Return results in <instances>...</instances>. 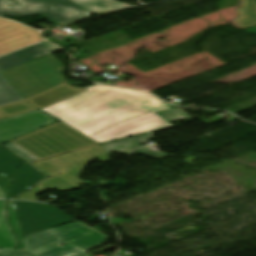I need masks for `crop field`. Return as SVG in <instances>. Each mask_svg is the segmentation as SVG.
I'll list each match as a JSON object with an SVG mask.
<instances>
[{
    "label": "crop field",
    "instance_id": "obj_1",
    "mask_svg": "<svg viewBox=\"0 0 256 256\" xmlns=\"http://www.w3.org/2000/svg\"><path fill=\"white\" fill-rule=\"evenodd\" d=\"M86 90L42 110L98 143L173 127L120 88Z\"/></svg>",
    "mask_w": 256,
    "mask_h": 256
},
{
    "label": "crop field",
    "instance_id": "obj_2",
    "mask_svg": "<svg viewBox=\"0 0 256 256\" xmlns=\"http://www.w3.org/2000/svg\"><path fill=\"white\" fill-rule=\"evenodd\" d=\"M95 145L99 144L58 122L2 146L32 163Z\"/></svg>",
    "mask_w": 256,
    "mask_h": 256
},
{
    "label": "crop field",
    "instance_id": "obj_3",
    "mask_svg": "<svg viewBox=\"0 0 256 256\" xmlns=\"http://www.w3.org/2000/svg\"><path fill=\"white\" fill-rule=\"evenodd\" d=\"M26 250L35 256H81L85 250L106 243L108 237L75 221L24 236ZM65 243L67 246L61 247Z\"/></svg>",
    "mask_w": 256,
    "mask_h": 256
},
{
    "label": "crop field",
    "instance_id": "obj_4",
    "mask_svg": "<svg viewBox=\"0 0 256 256\" xmlns=\"http://www.w3.org/2000/svg\"><path fill=\"white\" fill-rule=\"evenodd\" d=\"M108 157V154L104 152L103 146L99 145L82 151L33 163L32 165L50 178L46 179L16 199L36 201L35 194L44 191L45 188H56L59 191L79 189L80 187L77 185L86 184L78 179L79 174L85 165L95 158H98L102 162H107L109 161L107 159Z\"/></svg>",
    "mask_w": 256,
    "mask_h": 256
},
{
    "label": "crop field",
    "instance_id": "obj_5",
    "mask_svg": "<svg viewBox=\"0 0 256 256\" xmlns=\"http://www.w3.org/2000/svg\"><path fill=\"white\" fill-rule=\"evenodd\" d=\"M63 70L62 65L49 55L0 74L26 98L65 81L61 74Z\"/></svg>",
    "mask_w": 256,
    "mask_h": 256
},
{
    "label": "crop field",
    "instance_id": "obj_6",
    "mask_svg": "<svg viewBox=\"0 0 256 256\" xmlns=\"http://www.w3.org/2000/svg\"><path fill=\"white\" fill-rule=\"evenodd\" d=\"M10 4H14L10 6ZM39 14L53 26L89 17L91 13L70 0H0V17Z\"/></svg>",
    "mask_w": 256,
    "mask_h": 256
},
{
    "label": "crop field",
    "instance_id": "obj_7",
    "mask_svg": "<svg viewBox=\"0 0 256 256\" xmlns=\"http://www.w3.org/2000/svg\"><path fill=\"white\" fill-rule=\"evenodd\" d=\"M12 203L23 236L75 221L66 213L51 205L32 202Z\"/></svg>",
    "mask_w": 256,
    "mask_h": 256
},
{
    "label": "crop field",
    "instance_id": "obj_8",
    "mask_svg": "<svg viewBox=\"0 0 256 256\" xmlns=\"http://www.w3.org/2000/svg\"><path fill=\"white\" fill-rule=\"evenodd\" d=\"M83 91H85V89L80 88L76 90L70 85L63 83L26 100L7 106H2L0 107V112L8 117L36 109L40 110L48 105Z\"/></svg>",
    "mask_w": 256,
    "mask_h": 256
},
{
    "label": "crop field",
    "instance_id": "obj_9",
    "mask_svg": "<svg viewBox=\"0 0 256 256\" xmlns=\"http://www.w3.org/2000/svg\"><path fill=\"white\" fill-rule=\"evenodd\" d=\"M57 122L36 110L0 120V144Z\"/></svg>",
    "mask_w": 256,
    "mask_h": 256
},
{
    "label": "crop field",
    "instance_id": "obj_10",
    "mask_svg": "<svg viewBox=\"0 0 256 256\" xmlns=\"http://www.w3.org/2000/svg\"><path fill=\"white\" fill-rule=\"evenodd\" d=\"M39 41L36 31L0 19V55Z\"/></svg>",
    "mask_w": 256,
    "mask_h": 256
},
{
    "label": "crop field",
    "instance_id": "obj_11",
    "mask_svg": "<svg viewBox=\"0 0 256 256\" xmlns=\"http://www.w3.org/2000/svg\"><path fill=\"white\" fill-rule=\"evenodd\" d=\"M57 51L60 50L46 42H42L29 48L0 57V71Z\"/></svg>",
    "mask_w": 256,
    "mask_h": 256
},
{
    "label": "crop field",
    "instance_id": "obj_12",
    "mask_svg": "<svg viewBox=\"0 0 256 256\" xmlns=\"http://www.w3.org/2000/svg\"><path fill=\"white\" fill-rule=\"evenodd\" d=\"M43 178L44 176L40 174L33 166L26 161H23L13 186L8 188V199L16 197L21 192L30 188Z\"/></svg>",
    "mask_w": 256,
    "mask_h": 256
},
{
    "label": "crop field",
    "instance_id": "obj_13",
    "mask_svg": "<svg viewBox=\"0 0 256 256\" xmlns=\"http://www.w3.org/2000/svg\"><path fill=\"white\" fill-rule=\"evenodd\" d=\"M17 240L6 221V201L0 200V249H16Z\"/></svg>",
    "mask_w": 256,
    "mask_h": 256
},
{
    "label": "crop field",
    "instance_id": "obj_14",
    "mask_svg": "<svg viewBox=\"0 0 256 256\" xmlns=\"http://www.w3.org/2000/svg\"><path fill=\"white\" fill-rule=\"evenodd\" d=\"M237 12L235 22L238 26L245 29L256 25V0H242V8Z\"/></svg>",
    "mask_w": 256,
    "mask_h": 256
},
{
    "label": "crop field",
    "instance_id": "obj_15",
    "mask_svg": "<svg viewBox=\"0 0 256 256\" xmlns=\"http://www.w3.org/2000/svg\"><path fill=\"white\" fill-rule=\"evenodd\" d=\"M91 13H101L122 8L124 2L117 0H72Z\"/></svg>",
    "mask_w": 256,
    "mask_h": 256
},
{
    "label": "crop field",
    "instance_id": "obj_16",
    "mask_svg": "<svg viewBox=\"0 0 256 256\" xmlns=\"http://www.w3.org/2000/svg\"><path fill=\"white\" fill-rule=\"evenodd\" d=\"M20 161L21 159L0 148V173L8 178L11 182Z\"/></svg>",
    "mask_w": 256,
    "mask_h": 256
},
{
    "label": "crop field",
    "instance_id": "obj_17",
    "mask_svg": "<svg viewBox=\"0 0 256 256\" xmlns=\"http://www.w3.org/2000/svg\"><path fill=\"white\" fill-rule=\"evenodd\" d=\"M126 91L129 92L131 95H133L135 98H137L139 101H141L143 104H145L147 107H149L151 110L155 112L170 109V107L162 103L160 100L143 91H139V90H126Z\"/></svg>",
    "mask_w": 256,
    "mask_h": 256
},
{
    "label": "crop field",
    "instance_id": "obj_18",
    "mask_svg": "<svg viewBox=\"0 0 256 256\" xmlns=\"http://www.w3.org/2000/svg\"><path fill=\"white\" fill-rule=\"evenodd\" d=\"M24 99L1 75H0V105Z\"/></svg>",
    "mask_w": 256,
    "mask_h": 256
},
{
    "label": "crop field",
    "instance_id": "obj_19",
    "mask_svg": "<svg viewBox=\"0 0 256 256\" xmlns=\"http://www.w3.org/2000/svg\"><path fill=\"white\" fill-rule=\"evenodd\" d=\"M103 146H104L105 152L108 154L112 152H119V153L130 155L132 153V150L134 149L131 138L105 144Z\"/></svg>",
    "mask_w": 256,
    "mask_h": 256
},
{
    "label": "crop field",
    "instance_id": "obj_20",
    "mask_svg": "<svg viewBox=\"0 0 256 256\" xmlns=\"http://www.w3.org/2000/svg\"><path fill=\"white\" fill-rule=\"evenodd\" d=\"M8 213H9V223H10L13 231L16 233L17 237L19 238L18 249L26 251L11 201H8Z\"/></svg>",
    "mask_w": 256,
    "mask_h": 256
},
{
    "label": "crop field",
    "instance_id": "obj_21",
    "mask_svg": "<svg viewBox=\"0 0 256 256\" xmlns=\"http://www.w3.org/2000/svg\"><path fill=\"white\" fill-rule=\"evenodd\" d=\"M157 114H159L161 117H163L168 122L190 118L179 108L173 109V110H168V111H163V112H158Z\"/></svg>",
    "mask_w": 256,
    "mask_h": 256
},
{
    "label": "crop field",
    "instance_id": "obj_22",
    "mask_svg": "<svg viewBox=\"0 0 256 256\" xmlns=\"http://www.w3.org/2000/svg\"><path fill=\"white\" fill-rule=\"evenodd\" d=\"M135 153L140 154V155H144V156H148V157L157 158V159L164 158V157H167V156H173V155L167 154V153L150 152L149 148L136 150Z\"/></svg>",
    "mask_w": 256,
    "mask_h": 256
},
{
    "label": "crop field",
    "instance_id": "obj_23",
    "mask_svg": "<svg viewBox=\"0 0 256 256\" xmlns=\"http://www.w3.org/2000/svg\"><path fill=\"white\" fill-rule=\"evenodd\" d=\"M132 139H133L135 148H139L141 147L140 143H148V141L153 140L154 138H153V134L150 133V134L134 137Z\"/></svg>",
    "mask_w": 256,
    "mask_h": 256
},
{
    "label": "crop field",
    "instance_id": "obj_24",
    "mask_svg": "<svg viewBox=\"0 0 256 256\" xmlns=\"http://www.w3.org/2000/svg\"><path fill=\"white\" fill-rule=\"evenodd\" d=\"M0 256H33V255L20 250H10Z\"/></svg>",
    "mask_w": 256,
    "mask_h": 256
},
{
    "label": "crop field",
    "instance_id": "obj_25",
    "mask_svg": "<svg viewBox=\"0 0 256 256\" xmlns=\"http://www.w3.org/2000/svg\"><path fill=\"white\" fill-rule=\"evenodd\" d=\"M11 185L8 180H6L3 176L0 175V190L3 192L4 198H6L7 193L5 187Z\"/></svg>",
    "mask_w": 256,
    "mask_h": 256
},
{
    "label": "crop field",
    "instance_id": "obj_26",
    "mask_svg": "<svg viewBox=\"0 0 256 256\" xmlns=\"http://www.w3.org/2000/svg\"><path fill=\"white\" fill-rule=\"evenodd\" d=\"M245 31L256 34V26L249 29H245Z\"/></svg>",
    "mask_w": 256,
    "mask_h": 256
},
{
    "label": "crop field",
    "instance_id": "obj_27",
    "mask_svg": "<svg viewBox=\"0 0 256 256\" xmlns=\"http://www.w3.org/2000/svg\"><path fill=\"white\" fill-rule=\"evenodd\" d=\"M8 250H10V249H7V250H0V254L6 252V251H8Z\"/></svg>",
    "mask_w": 256,
    "mask_h": 256
},
{
    "label": "crop field",
    "instance_id": "obj_28",
    "mask_svg": "<svg viewBox=\"0 0 256 256\" xmlns=\"http://www.w3.org/2000/svg\"><path fill=\"white\" fill-rule=\"evenodd\" d=\"M2 118H5V116H3V115L0 113V119H2Z\"/></svg>",
    "mask_w": 256,
    "mask_h": 256
},
{
    "label": "crop field",
    "instance_id": "obj_29",
    "mask_svg": "<svg viewBox=\"0 0 256 256\" xmlns=\"http://www.w3.org/2000/svg\"><path fill=\"white\" fill-rule=\"evenodd\" d=\"M85 256H87V255H85Z\"/></svg>",
    "mask_w": 256,
    "mask_h": 256
}]
</instances>
